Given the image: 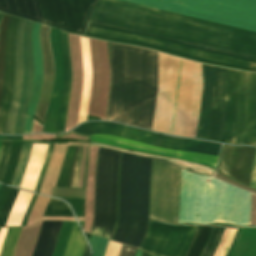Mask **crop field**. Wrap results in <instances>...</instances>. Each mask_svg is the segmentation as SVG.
<instances>
[{
    "mask_svg": "<svg viewBox=\"0 0 256 256\" xmlns=\"http://www.w3.org/2000/svg\"><path fill=\"white\" fill-rule=\"evenodd\" d=\"M197 138L256 145V74L203 64Z\"/></svg>",
    "mask_w": 256,
    "mask_h": 256,
    "instance_id": "8a807250",
    "label": "crop field"
},
{
    "mask_svg": "<svg viewBox=\"0 0 256 256\" xmlns=\"http://www.w3.org/2000/svg\"><path fill=\"white\" fill-rule=\"evenodd\" d=\"M158 89V52L111 43L106 120L152 127Z\"/></svg>",
    "mask_w": 256,
    "mask_h": 256,
    "instance_id": "ac0d7876",
    "label": "crop field"
},
{
    "mask_svg": "<svg viewBox=\"0 0 256 256\" xmlns=\"http://www.w3.org/2000/svg\"><path fill=\"white\" fill-rule=\"evenodd\" d=\"M151 159L122 152L117 229L113 240L139 247L147 231Z\"/></svg>",
    "mask_w": 256,
    "mask_h": 256,
    "instance_id": "34b2d1b8",
    "label": "crop field"
},
{
    "mask_svg": "<svg viewBox=\"0 0 256 256\" xmlns=\"http://www.w3.org/2000/svg\"><path fill=\"white\" fill-rule=\"evenodd\" d=\"M73 132L88 134V135H92L94 133H103V134H108V135H112V136H117V137H121V138L134 140L137 142H141V143H144L147 145L160 147V148H164V149L203 153V154H209V155H215V156L218 155V152H219V149L221 146L218 144H212V143H206V142H200V141H194V140L168 138V137L148 133V132L141 131V130H138L135 128L126 127V126H122V125H118V124H114V123H110V122L85 123V124L79 126L78 128H76ZM90 141L99 142V143H103V144H109V145H113V146H119V147H123V148L130 149V150H135V151H142V152L158 154V155H162V156L176 157V158L188 160L191 162L204 164V165H207L212 168L216 167L215 165H212V164H209L206 162L189 159V158H184V157H180V156H175V155H170V154H165V153H161V152L122 146V145L109 143V142H105V141H101V140H96V139H92V138H90Z\"/></svg>",
    "mask_w": 256,
    "mask_h": 256,
    "instance_id": "412701ff",
    "label": "crop field"
},
{
    "mask_svg": "<svg viewBox=\"0 0 256 256\" xmlns=\"http://www.w3.org/2000/svg\"><path fill=\"white\" fill-rule=\"evenodd\" d=\"M32 22L18 19L15 33L14 85L5 134H22L32 84Z\"/></svg>",
    "mask_w": 256,
    "mask_h": 256,
    "instance_id": "f4fd0767",
    "label": "crop field"
},
{
    "mask_svg": "<svg viewBox=\"0 0 256 256\" xmlns=\"http://www.w3.org/2000/svg\"><path fill=\"white\" fill-rule=\"evenodd\" d=\"M119 157L118 151L98 147L94 220L90 233L109 239L117 219Z\"/></svg>",
    "mask_w": 256,
    "mask_h": 256,
    "instance_id": "dd49c442",
    "label": "crop field"
},
{
    "mask_svg": "<svg viewBox=\"0 0 256 256\" xmlns=\"http://www.w3.org/2000/svg\"><path fill=\"white\" fill-rule=\"evenodd\" d=\"M180 168L152 159L149 217L176 223Z\"/></svg>",
    "mask_w": 256,
    "mask_h": 256,
    "instance_id": "e52e79f7",
    "label": "crop field"
},
{
    "mask_svg": "<svg viewBox=\"0 0 256 256\" xmlns=\"http://www.w3.org/2000/svg\"><path fill=\"white\" fill-rule=\"evenodd\" d=\"M197 227L152 221L140 249L160 256H184Z\"/></svg>",
    "mask_w": 256,
    "mask_h": 256,
    "instance_id": "d8731c3e",
    "label": "crop field"
},
{
    "mask_svg": "<svg viewBox=\"0 0 256 256\" xmlns=\"http://www.w3.org/2000/svg\"><path fill=\"white\" fill-rule=\"evenodd\" d=\"M225 228L199 226L185 256H212ZM237 230H225L213 256H226Z\"/></svg>",
    "mask_w": 256,
    "mask_h": 256,
    "instance_id": "5a996713",
    "label": "crop field"
},
{
    "mask_svg": "<svg viewBox=\"0 0 256 256\" xmlns=\"http://www.w3.org/2000/svg\"><path fill=\"white\" fill-rule=\"evenodd\" d=\"M254 150L255 148L224 145L219 172L248 185Z\"/></svg>",
    "mask_w": 256,
    "mask_h": 256,
    "instance_id": "3316defc",
    "label": "crop field"
},
{
    "mask_svg": "<svg viewBox=\"0 0 256 256\" xmlns=\"http://www.w3.org/2000/svg\"><path fill=\"white\" fill-rule=\"evenodd\" d=\"M49 29V27L42 25L40 28V41L43 56V81L35 117L42 123L44 122L54 82L53 58L49 46Z\"/></svg>",
    "mask_w": 256,
    "mask_h": 256,
    "instance_id": "28ad6ade",
    "label": "crop field"
},
{
    "mask_svg": "<svg viewBox=\"0 0 256 256\" xmlns=\"http://www.w3.org/2000/svg\"><path fill=\"white\" fill-rule=\"evenodd\" d=\"M50 46L54 57L55 83L49 108L46 114L44 132L55 133V120L59 108V102L62 91L63 69L59 47V31L52 28L50 30Z\"/></svg>",
    "mask_w": 256,
    "mask_h": 256,
    "instance_id": "d1516ede",
    "label": "crop field"
},
{
    "mask_svg": "<svg viewBox=\"0 0 256 256\" xmlns=\"http://www.w3.org/2000/svg\"><path fill=\"white\" fill-rule=\"evenodd\" d=\"M16 17L10 18L6 35V58L3 92L0 100V134H4L6 114L10 103L13 84V48Z\"/></svg>",
    "mask_w": 256,
    "mask_h": 256,
    "instance_id": "22f410ed",
    "label": "crop field"
},
{
    "mask_svg": "<svg viewBox=\"0 0 256 256\" xmlns=\"http://www.w3.org/2000/svg\"><path fill=\"white\" fill-rule=\"evenodd\" d=\"M39 24L33 25L32 30V53H33V63H34V74H33V84L32 92L29 100V105L27 109V114L24 123L23 134L31 132L33 116L35 113L40 87L42 80V57H41V48L39 42Z\"/></svg>",
    "mask_w": 256,
    "mask_h": 256,
    "instance_id": "cbeb9de0",
    "label": "crop field"
},
{
    "mask_svg": "<svg viewBox=\"0 0 256 256\" xmlns=\"http://www.w3.org/2000/svg\"><path fill=\"white\" fill-rule=\"evenodd\" d=\"M60 45H61L62 59H63V66H64V87H63L60 108H59L58 119L56 121V133L63 132L65 128V121H66V114H67V107H68L71 79H72L68 34L60 32Z\"/></svg>",
    "mask_w": 256,
    "mask_h": 256,
    "instance_id": "5142ce71",
    "label": "crop field"
},
{
    "mask_svg": "<svg viewBox=\"0 0 256 256\" xmlns=\"http://www.w3.org/2000/svg\"><path fill=\"white\" fill-rule=\"evenodd\" d=\"M48 145L33 144L32 152L28 160L21 188L34 190L37 183Z\"/></svg>",
    "mask_w": 256,
    "mask_h": 256,
    "instance_id": "d9b57169",
    "label": "crop field"
},
{
    "mask_svg": "<svg viewBox=\"0 0 256 256\" xmlns=\"http://www.w3.org/2000/svg\"><path fill=\"white\" fill-rule=\"evenodd\" d=\"M32 197V193L25 191H19L13 206L11 208L10 214L6 221L5 227L20 226L22 222L23 215Z\"/></svg>",
    "mask_w": 256,
    "mask_h": 256,
    "instance_id": "733c2abd",
    "label": "crop field"
},
{
    "mask_svg": "<svg viewBox=\"0 0 256 256\" xmlns=\"http://www.w3.org/2000/svg\"><path fill=\"white\" fill-rule=\"evenodd\" d=\"M84 243H85V240H84L77 224L74 223L72 233H71L64 256H81ZM88 255H89V248H88L87 244L85 243L82 256H88Z\"/></svg>",
    "mask_w": 256,
    "mask_h": 256,
    "instance_id": "4a817a6b",
    "label": "crop field"
},
{
    "mask_svg": "<svg viewBox=\"0 0 256 256\" xmlns=\"http://www.w3.org/2000/svg\"><path fill=\"white\" fill-rule=\"evenodd\" d=\"M107 241V239L92 235L90 243L94 250L93 256H103ZM120 246V244L109 240L104 256H118Z\"/></svg>",
    "mask_w": 256,
    "mask_h": 256,
    "instance_id": "bc2a9ffb",
    "label": "crop field"
},
{
    "mask_svg": "<svg viewBox=\"0 0 256 256\" xmlns=\"http://www.w3.org/2000/svg\"><path fill=\"white\" fill-rule=\"evenodd\" d=\"M31 146H32V143H23V145H22V150H21L19 162H18V165H17V169H16V172H15L12 184H11L13 186L18 187L21 180H22L23 173H24V170H25V167H26V163H27V160H28V157H29L30 150H31Z\"/></svg>",
    "mask_w": 256,
    "mask_h": 256,
    "instance_id": "214f88e0",
    "label": "crop field"
},
{
    "mask_svg": "<svg viewBox=\"0 0 256 256\" xmlns=\"http://www.w3.org/2000/svg\"><path fill=\"white\" fill-rule=\"evenodd\" d=\"M9 15H3L2 23L0 25V96L3 84V73H4V58H5V35L6 29L9 22Z\"/></svg>",
    "mask_w": 256,
    "mask_h": 256,
    "instance_id": "92a150f3",
    "label": "crop field"
},
{
    "mask_svg": "<svg viewBox=\"0 0 256 256\" xmlns=\"http://www.w3.org/2000/svg\"><path fill=\"white\" fill-rule=\"evenodd\" d=\"M74 149L75 147H67L62 168L57 181V187H66L67 185Z\"/></svg>",
    "mask_w": 256,
    "mask_h": 256,
    "instance_id": "dafd665d",
    "label": "crop field"
},
{
    "mask_svg": "<svg viewBox=\"0 0 256 256\" xmlns=\"http://www.w3.org/2000/svg\"><path fill=\"white\" fill-rule=\"evenodd\" d=\"M43 216H73L69 207L58 200L50 199Z\"/></svg>",
    "mask_w": 256,
    "mask_h": 256,
    "instance_id": "00972430",
    "label": "crop field"
},
{
    "mask_svg": "<svg viewBox=\"0 0 256 256\" xmlns=\"http://www.w3.org/2000/svg\"><path fill=\"white\" fill-rule=\"evenodd\" d=\"M53 221H43L32 256H42Z\"/></svg>",
    "mask_w": 256,
    "mask_h": 256,
    "instance_id": "a9b5d70f",
    "label": "crop field"
},
{
    "mask_svg": "<svg viewBox=\"0 0 256 256\" xmlns=\"http://www.w3.org/2000/svg\"><path fill=\"white\" fill-rule=\"evenodd\" d=\"M21 227L9 228L0 256H12Z\"/></svg>",
    "mask_w": 256,
    "mask_h": 256,
    "instance_id": "4177f3b9",
    "label": "crop field"
},
{
    "mask_svg": "<svg viewBox=\"0 0 256 256\" xmlns=\"http://www.w3.org/2000/svg\"><path fill=\"white\" fill-rule=\"evenodd\" d=\"M62 222L54 221L43 256H52Z\"/></svg>",
    "mask_w": 256,
    "mask_h": 256,
    "instance_id": "730fd06b",
    "label": "crop field"
},
{
    "mask_svg": "<svg viewBox=\"0 0 256 256\" xmlns=\"http://www.w3.org/2000/svg\"><path fill=\"white\" fill-rule=\"evenodd\" d=\"M17 193H18L17 189H13V188L10 189L7 199L5 201V204L3 206V209L0 213V227H4L8 213L10 211V208L12 206V203H13Z\"/></svg>",
    "mask_w": 256,
    "mask_h": 256,
    "instance_id": "eef30255",
    "label": "crop field"
},
{
    "mask_svg": "<svg viewBox=\"0 0 256 256\" xmlns=\"http://www.w3.org/2000/svg\"><path fill=\"white\" fill-rule=\"evenodd\" d=\"M82 151H83V147H78L71 187H78L81 159H82Z\"/></svg>",
    "mask_w": 256,
    "mask_h": 256,
    "instance_id": "ae1a2a85",
    "label": "crop field"
},
{
    "mask_svg": "<svg viewBox=\"0 0 256 256\" xmlns=\"http://www.w3.org/2000/svg\"><path fill=\"white\" fill-rule=\"evenodd\" d=\"M10 143L11 142H2V148L0 152V181L2 179L5 166L7 163V159L10 151Z\"/></svg>",
    "mask_w": 256,
    "mask_h": 256,
    "instance_id": "d3111659",
    "label": "crop field"
},
{
    "mask_svg": "<svg viewBox=\"0 0 256 256\" xmlns=\"http://www.w3.org/2000/svg\"><path fill=\"white\" fill-rule=\"evenodd\" d=\"M50 144H53V143H50ZM52 146H53V145H49V147H48V153H47V156H46V159H45V162H44V165H43V168H42V171H41V174H40L38 183H37V185H36V187H35V190H34V191H36V192L39 191V188H40V185H41V182H42V179H43V176H44V173H45V170H46V167H47L49 158H50Z\"/></svg>",
    "mask_w": 256,
    "mask_h": 256,
    "instance_id": "750c4746",
    "label": "crop field"
},
{
    "mask_svg": "<svg viewBox=\"0 0 256 256\" xmlns=\"http://www.w3.org/2000/svg\"><path fill=\"white\" fill-rule=\"evenodd\" d=\"M135 250V248L122 245L119 256H134Z\"/></svg>",
    "mask_w": 256,
    "mask_h": 256,
    "instance_id": "bd1437ed",
    "label": "crop field"
},
{
    "mask_svg": "<svg viewBox=\"0 0 256 256\" xmlns=\"http://www.w3.org/2000/svg\"><path fill=\"white\" fill-rule=\"evenodd\" d=\"M37 196H38V195H36V194L33 195L32 199H31V201H30V204H29V206H28V208H27V211H26V213H25V215H24L23 222H22V225H21V226H25L26 220H27V217H28V214H29V212H30V210H31V208H32V206H33V204H34V202H35Z\"/></svg>",
    "mask_w": 256,
    "mask_h": 256,
    "instance_id": "1d83c4d3",
    "label": "crop field"
},
{
    "mask_svg": "<svg viewBox=\"0 0 256 256\" xmlns=\"http://www.w3.org/2000/svg\"><path fill=\"white\" fill-rule=\"evenodd\" d=\"M7 229L8 228H1L0 229V251H1L4 239H5V235H6Z\"/></svg>",
    "mask_w": 256,
    "mask_h": 256,
    "instance_id": "120bbe31",
    "label": "crop field"
},
{
    "mask_svg": "<svg viewBox=\"0 0 256 256\" xmlns=\"http://www.w3.org/2000/svg\"><path fill=\"white\" fill-rule=\"evenodd\" d=\"M76 149H77V147H76ZM76 149H75V153H74V158H73V162H72V167H71V172H70V176H69V181H68L67 187H70V185H71V179H72V173H73V167H74Z\"/></svg>",
    "mask_w": 256,
    "mask_h": 256,
    "instance_id": "d32e631a",
    "label": "crop field"
},
{
    "mask_svg": "<svg viewBox=\"0 0 256 256\" xmlns=\"http://www.w3.org/2000/svg\"><path fill=\"white\" fill-rule=\"evenodd\" d=\"M141 252L140 250H136V253H135V256H140L141 255ZM141 256H147V253L145 252H142V255Z\"/></svg>",
    "mask_w": 256,
    "mask_h": 256,
    "instance_id": "5866460e",
    "label": "crop field"
},
{
    "mask_svg": "<svg viewBox=\"0 0 256 256\" xmlns=\"http://www.w3.org/2000/svg\"><path fill=\"white\" fill-rule=\"evenodd\" d=\"M5 139H22V136H19V137L5 136Z\"/></svg>",
    "mask_w": 256,
    "mask_h": 256,
    "instance_id": "028f5c9d",
    "label": "crop field"
},
{
    "mask_svg": "<svg viewBox=\"0 0 256 256\" xmlns=\"http://www.w3.org/2000/svg\"><path fill=\"white\" fill-rule=\"evenodd\" d=\"M0 140H4V136H0Z\"/></svg>",
    "mask_w": 256,
    "mask_h": 256,
    "instance_id": "e1f06a70",
    "label": "crop field"
},
{
    "mask_svg": "<svg viewBox=\"0 0 256 256\" xmlns=\"http://www.w3.org/2000/svg\"><path fill=\"white\" fill-rule=\"evenodd\" d=\"M80 223V225H81V227L83 226V222H79Z\"/></svg>",
    "mask_w": 256,
    "mask_h": 256,
    "instance_id": "0bd39190",
    "label": "crop field"
},
{
    "mask_svg": "<svg viewBox=\"0 0 256 256\" xmlns=\"http://www.w3.org/2000/svg\"><path fill=\"white\" fill-rule=\"evenodd\" d=\"M2 15H3V14L0 13V21H1Z\"/></svg>",
    "mask_w": 256,
    "mask_h": 256,
    "instance_id": "b80d0937",
    "label": "crop field"
},
{
    "mask_svg": "<svg viewBox=\"0 0 256 256\" xmlns=\"http://www.w3.org/2000/svg\"><path fill=\"white\" fill-rule=\"evenodd\" d=\"M148 256H153V255L149 254Z\"/></svg>",
    "mask_w": 256,
    "mask_h": 256,
    "instance_id": "c035e120",
    "label": "crop field"
},
{
    "mask_svg": "<svg viewBox=\"0 0 256 256\" xmlns=\"http://www.w3.org/2000/svg\"><path fill=\"white\" fill-rule=\"evenodd\" d=\"M0 145H1V142H0Z\"/></svg>",
    "mask_w": 256,
    "mask_h": 256,
    "instance_id": "c21b1889",
    "label": "crop field"
}]
</instances>
